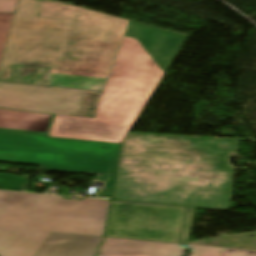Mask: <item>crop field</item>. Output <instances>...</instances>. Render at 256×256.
I'll use <instances>...</instances> for the list:
<instances>
[{
  "label": "crop field",
  "mask_w": 256,
  "mask_h": 256,
  "mask_svg": "<svg viewBox=\"0 0 256 256\" xmlns=\"http://www.w3.org/2000/svg\"><path fill=\"white\" fill-rule=\"evenodd\" d=\"M238 140L128 134L112 200L230 208Z\"/></svg>",
  "instance_id": "8a807250"
},
{
  "label": "crop field",
  "mask_w": 256,
  "mask_h": 256,
  "mask_svg": "<svg viewBox=\"0 0 256 256\" xmlns=\"http://www.w3.org/2000/svg\"><path fill=\"white\" fill-rule=\"evenodd\" d=\"M185 39L130 21L94 119L55 115L48 136L121 144Z\"/></svg>",
  "instance_id": "ac0d7876"
},
{
  "label": "crop field",
  "mask_w": 256,
  "mask_h": 256,
  "mask_svg": "<svg viewBox=\"0 0 256 256\" xmlns=\"http://www.w3.org/2000/svg\"><path fill=\"white\" fill-rule=\"evenodd\" d=\"M108 206L0 191V256H34L51 232L102 236Z\"/></svg>",
  "instance_id": "34b2d1b8"
},
{
  "label": "crop field",
  "mask_w": 256,
  "mask_h": 256,
  "mask_svg": "<svg viewBox=\"0 0 256 256\" xmlns=\"http://www.w3.org/2000/svg\"><path fill=\"white\" fill-rule=\"evenodd\" d=\"M38 16L71 19L52 86L103 91L129 21L53 0Z\"/></svg>",
  "instance_id": "412701ff"
},
{
  "label": "crop field",
  "mask_w": 256,
  "mask_h": 256,
  "mask_svg": "<svg viewBox=\"0 0 256 256\" xmlns=\"http://www.w3.org/2000/svg\"><path fill=\"white\" fill-rule=\"evenodd\" d=\"M119 144L0 133V161L42 165L44 170L98 175L99 196H109ZM27 177L0 174V189L23 191Z\"/></svg>",
  "instance_id": "f4fd0767"
},
{
  "label": "crop field",
  "mask_w": 256,
  "mask_h": 256,
  "mask_svg": "<svg viewBox=\"0 0 256 256\" xmlns=\"http://www.w3.org/2000/svg\"><path fill=\"white\" fill-rule=\"evenodd\" d=\"M41 0H19L0 81L51 86L69 21L37 17Z\"/></svg>",
  "instance_id": "dd49c442"
},
{
  "label": "crop field",
  "mask_w": 256,
  "mask_h": 256,
  "mask_svg": "<svg viewBox=\"0 0 256 256\" xmlns=\"http://www.w3.org/2000/svg\"><path fill=\"white\" fill-rule=\"evenodd\" d=\"M185 207L112 201L105 236L177 243Z\"/></svg>",
  "instance_id": "e52e79f7"
},
{
  "label": "crop field",
  "mask_w": 256,
  "mask_h": 256,
  "mask_svg": "<svg viewBox=\"0 0 256 256\" xmlns=\"http://www.w3.org/2000/svg\"><path fill=\"white\" fill-rule=\"evenodd\" d=\"M83 90L5 84L0 82V107L74 115Z\"/></svg>",
  "instance_id": "d8731c3e"
},
{
  "label": "crop field",
  "mask_w": 256,
  "mask_h": 256,
  "mask_svg": "<svg viewBox=\"0 0 256 256\" xmlns=\"http://www.w3.org/2000/svg\"><path fill=\"white\" fill-rule=\"evenodd\" d=\"M179 244L104 238L97 256H182Z\"/></svg>",
  "instance_id": "5a996713"
},
{
  "label": "crop field",
  "mask_w": 256,
  "mask_h": 256,
  "mask_svg": "<svg viewBox=\"0 0 256 256\" xmlns=\"http://www.w3.org/2000/svg\"><path fill=\"white\" fill-rule=\"evenodd\" d=\"M102 238L51 233L35 256H94Z\"/></svg>",
  "instance_id": "3316defc"
},
{
  "label": "crop field",
  "mask_w": 256,
  "mask_h": 256,
  "mask_svg": "<svg viewBox=\"0 0 256 256\" xmlns=\"http://www.w3.org/2000/svg\"><path fill=\"white\" fill-rule=\"evenodd\" d=\"M53 116L0 109V131L47 136Z\"/></svg>",
  "instance_id": "28ad6ade"
},
{
  "label": "crop field",
  "mask_w": 256,
  "mask_h": 256,
  "mask_svg": "<svg viewBox=\"0 0 256 256\" xmlns=\"http://www.w3.org/2000/svg\"><path fill=\"white\" fill-rule=\"evenodd\" d=\"M101 95L102 93L84 91L75 115L93 118Z\"/></svg>",
  "instance_id": "d1516ede"
},
{
  "label": "crop field",
  "mask_w": 256,
  "mask_h": 256,
  "mask_svg": "<svg viewBox=\"0 0 256 256\" xmlns=\"http://www.w3.org/2000/svg\"><path fill=\"white\" fill-rule=\"evenodd\" d=\"M13 15L0 13V61L10 31Z\"/></svg>",
  "instance_id": "22f410ed"
},
{
  "label": "crop field",
  "mask_w": 256,
  "mask_h": 256,
  "mask_svg": "<svg viewBox=\"0 0 256 256\" xmlns=\"http://www.w3.org/2000/svg\"><path fill=\"white\" fill-rule=\"evenodd\" d=\"M195 209L186 208L183 225L179 237L178 243L188 242L189 240V234H190V228H191V222L193 218Z\"/></svg>",
  "instance_id": "cbeb9de0"
},
{
  "label": "crop field",
  "mask_w": 256,
  "mask_h": 256,
  "mask_svg": "<svg viewBox=\"0 0 256 256\" xmlns=\"http://www.w3.org/2000/svg\"><path fill=\"white\" fill-rule=\"evenodd\" d=\"M222 250L223 249L194 247L190 256H221Z\"/></svg>",
  "instance_id": "5142ce71"
},
{
  "label": "crop field",
  "mask_w": 256,
  "mask_h": 256,
  "mask_svg": "<svg viewBox=\"0 0 256 256\" xmlns=\"http://www.w3.org/2000/svg\"><path fill=\"white\" fill-rule=\"evenodd\" d=\"M18 0H0V12L14 13Z\"/></svg>",
  "instance_id": "d9b57169"
},
{
  "label": "crop field",
  "mask_w": 256,
  "mask_h": 256,
  "mask_svg": "<svg viewBox=\"0 0 256 256\" xmlns=\"http://www.w3.org/2000/svg\"><path fill=\"white\" fill-rule=\"evenodd\" d=\"M222 256H256V252L224 249Z\"/></svg>",
  "instance_id": "733c2abd"
}]
</instances>
